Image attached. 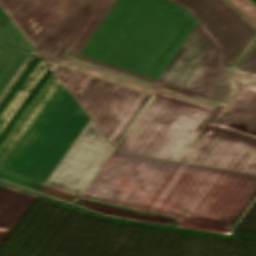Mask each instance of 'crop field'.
<instances>
[{"label":"crop field","instance_id":"1","mask_svg":"<svg viewBox=\"0 0 256 256\" xmlns=\"http://www.w3.org/2000/svg\"><path fill=\"white\" fill-rule=\"evenodd\" d=\"M0 7L36 55L55 63L45 62L116 151L174 163L211 112L61 63L153 95L117 143L149 96L57 66L62 54L69 48L195 94L218 66L236 69L256 41L231 68L256 30L222 0H0ZM242 64L236 70L256 73V49ZM179 163L256 176V143L204 126Z\"/></svg>","mask_w":256,"mask_h":256},{"label":"crop field","instance_id":"2","mask_svg":"<svg viewBox=\"0 0 256 256\" xmlns=\"http://www.w3.org/2000/svg\"><path fill=\"white\" fill-rule=\"evenodd\" d=\"M122 157L174 217L233 225L256 193V177Z\"/></svg>","mask_w":256,"mask_h":256},{"label":"crop field","instance_id":"3","mask_svg":"<svg viewBox=\"0 0 256 256\" xmlns=\"http://www.w3.org/2000/svg\"><path fill=\"white\" fill-rule=\"evenodd\" d=\"M228 1L256 26V8L249 0ZM68 56L157 87L70 59ZM63 63L211 111L213 113L205 123V126L256 142V74L218 67L197 94L228 102L227 105H225L197 94L193 95L173 89L69 54H67ZM248 74L252 76L249 77L247 76ZM158 87L204 101L218 107L215 108ZM225 129L245 134L247 137Z\"/></svg>","mask_w":256,"mask_h":256},{"label":"crop field","instance_id":"4","mask_svg":"<svg viewBox=\"0 0 256 256\" xmlns=\"http://www.w3.org/2000/svg\"><path fill=\"white\" fill-rule=\"evenodd\" d=\"M89 120L62 85L2 163L0 179L39 192Z\"/></svg>","mask_w":256,"mask_h":256},{"label":"crop field","instance_id":"5","mask_svg":"<svg viewBox=\"0 0 256 256\" xmlns=\"http://www.w3.org/2000/svg\"><path fill=\"white\" fill-rule=\"evenodd\" d=\"M114 149L90 120L47 184L82 195Z\"/></svg>","mask_w":256,"mask_h":256},{"label":"crop field","instance_id":"6","mask_svg":"<svg viewBox=\"0 0 256 256\" xmlns=\"http://www.w3.org/2000/svg\"><path fill=\"white\" fill-rule=\"evenodd\" d=\"M82 198L169 215L115 150Z\"/></svg>","mask_w":256,"mask_h":256},{"label":"crop field","instance_id":"7","mask_svg":"<svg viewBox=\"0 0 256 256\" xmlns=\"http://www.w3.org/2000/svg\"><path fill=\"white\" fill-rule=\"evenodd\" d=\"M35 195L0 184V226L13 228Z\"/></svg>","mask_w":256,"mask_h":256},{"label":"crop field","instance_id":"8","mask_svg":"<svg viewBox=\"0 0 256 256\" xmlns=\"http://www.w3.org/2000/svg\"><path fill=\"white\" fill-rule=\"evenodd\" d=\"M28 52V49L11 43L0 58V88Z\"/></svg>","mask_w":256,"mask_h":256},{"label":"crop field","instance_id":"9","mask_svg":"<svg viewBox=\"0 0 256 256\" xmlns=\"http://www.w3.org/2000/svg\"><path fill=\"white\" fill-rule=\"evenodd\" d=\"M5 40L21 45L28 49H30L32 46L12 21L0 36V45H2Z\"/></svg>","mask_w":256,"mask_h":256},{"label":"crop field","instance_id":"10","mask_svg":"<svg viewBox=\"0 0 256 256\" xmlns=\"http://www.w3.org/2000/svg\"><path fill=\"white\" fill-rule=\"evenodd\" d=\"M40 193L52 196L54 198H57L66 202L71 201L75 197L78 198V196H80V195L47 185V184L44 185Z\"/></svg>","mask_w":256,"mask_h":256},{"label":"crop field","instance_id":"11","mask_svg":"<svg viewBox=\"0 0 256 256\" xmlns=\"http://www.w3.org/2000/svg\"><path fill=\"white\" fill-rule=\"evenodd\" d=\"M177 224H179L182 227H189V228H196V229H203V230H210V231H217V232H227V228H228L226 226L191 221L186 219H181Z\"/></svg>","mask_w":256,"mask_h":256},{"label":"crop field","instance_id":"12","mask_svg":"<svg viewBox=\"0 0 256 256\" xmlns=\"http://www.w3.org/2000/svg\"><path fill=\"white\" fill-rule=\"evenodd\" d=\"M10 21L11 20L8 18V16L0 8V35L4 31V29L7 27V25L10 23Z\"/></svg>","mask_w":256,"mask_h":256},{"label":"crop field","instance_id":"13","mask_svg":"<svg viewBox=\"0 0 256 256\" xmlns=\"http://www.w3.org/2000/svg\"><path fill=\"white\" fill-rule=\"evenodd\" d=\"M10 231H11V229H9V228L0 227V244Z\"/></svg>","mask_w":256,"mask_h":256},{"label":"crop field","instance_id":"14","mask_svg":"<svg viewBox=\"0 0 256 256\" xmlns=\"http://www.w3.org/2000/svg\"><path fill=\"white\" fill-rule=\"evenodd\" d=\"M10 42L5 41L2 47L0 46L1 49L6 50V48L9 46Z\"/></svg>","mask_w":256,"mask_h":256},{"label":"crop field","instance_id":"15","mask_svg":"<svg viewBox=\"0 0 256 256\" xmlns=\"http://www.w3.org/2000/svg\"><path fill=\"white\" fill-rule=\"evenodd\" d=\"M4 53V50H1L0 49V57H1V55Z\"/></svg>","mask_w":256,"mask_h":256}]
</instances>
